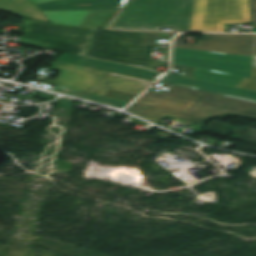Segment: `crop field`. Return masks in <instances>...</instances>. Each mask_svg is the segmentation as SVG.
<instances>
[{
	"label": "crop field",
	"instance_id": "28ad6ade",
	"mask_svg": "<svg viewBox=\"0 0 256 256\" xmlns=\"http://www.w3.org/2000/svg\"><path fill=\"white\" fill-rule=\"evenodd\" d=\"M80 66L90 67V68H96L106 71H111L115 73L125 74L129 76H134L138 78L148 79L155 81L158 77H160L162 74L160 73H154L150 72L145 69L135 68L131 66L101 61L97 59L87 58L84 57L83 60L79 64Z\"/></svg>",
	"mask_w": 256,
	"mask_h": 256
},
{
	"label": "crop field",
	"instance_id": "f4fd0767",
	"mask_svg": "<svg viewBox=\"0 0 256 256\" xmlns=\"http://www.w3.org/2000/svg\"><path fill=\"white\" fill-rule=\"evenodd\" d=\"M93 29L53 26L26 19L23 44L84 56Z\"/></svg>",
	"mask_w": 256,
	"mask_h": 256
},
{
	"label": "crop field",
	"instance_id": "d9b57169",
	"mask_svg": "<svg viewBox=\"0 0 256 256\" xmlns=\"http://www.w3.org/2000/svg\"><path fill=\"white\" fill-rule=\"evenodd\" d=\"M237 86L247 88V89L256 90V68H253V73H252L251 79L244 78Z\"/></svg>",
	"mask_w": 256,
	"mask_h": 256
},
{
	"label": "crop field",
	"instance_id": "ac0d7876",
	"mask_svg": "<svg viewBox=\"0 0 256 256\" xmlns=\"http://www.w3.org/2000/svg\"><path fill=\"white\" fill-rule=\"evenodd\" d=\"M135 103L205 119L228 113L256 119L255 102L178 86L162 94L148 91Z\"/></svg>",
	"mask_w": 256,
	"mask_h": 256
},
{
	"label": "crop field",
	"instance_id": "dd49c442",
	"mask_svg": "<svg viewBox=\"0 0 256 256\" xmlns=\"http://www.w3.org/2000/svg\"><path fill=\"white\" fill-rule=\"evenodd\" d=\"M225 23H251L249 0H196L190 31L225 32Z\"/></svg>",
	"mask_w": 256,
	"mask_h": 256
},
{
	"label": "crop field",
	"instance_id": "5a996713",
	"mask_svg": "<svg viewBox=\"0 0 256 256\" xmlns=\"http://www.w3.org/2000/svg\"><path fill=\"white\" fill-rule=\"evenodd\" d=\"M243 35L204 34L198 45H186L184 34L175 38L174 46L235 54Z\"/></svg>",
	"mask_w": 256,
	"mask_h": 256
},
{
	"label": "crop field",
	"instance_id": "5142ce71",
	"mask_svg": "<svg viewBox=\"0 0 256 256\" xmlns=\"http://www.w3.org/2000/svg\"><path fill=\"white\" fill-rule=\"evenodd\" d=\"M236 54L256 55V35H244Z\"/></svg>",
	"mask_w": 256,
	"mask_h": 256
},
{
	"label": "crop field",
	"instance_id": "22f410ed",
	"mask_svg": "<svg viewBox=\"0 0 256 256\" xmlns=\"http://www.w3.org/2000/svg\"><path fill=\"white\" fill-rule=\"evenodd\" d=\"M128 111L138 116H141L143 118H146L150 121H153L155 123L159 122L165 117H168V118L175 117L177 119L174 122L184 123L186 120H188L191 117L183 114L141 106L137 104H134L132 107H130Z\"/></svg>",
	"mask_w": 256,
	"mask_h": 256
},
{
	"label": "crop field",
	"instance_id": "d8731c3e",
	"mask_svg": "<svg viewBox=\"0 0 256 256\" xmlns=\"http://www.w3.org/2000/svg\"><path fill=\"white\" fill-rule=\"evenodd\" d=\"M153 82L108 72L88 93L103 96L110 89L139 95Z\"/></svg>",
	"mask_w": 256,
	"mask_h": 256
},
{
	"label": "crop field",
	"instance_id": "412701ff",
	"mask_svg": "<svg viewBox=\"0 0 256 256\" xmlns=\"http://www.w3.org/2000/svg\"><path fill=\"white\" fill-rule=\"evenodd\" d=\"M145 33L95 29L87 57L150 69V49L143 47Z\"/></svg>",
	"mask_w": 256,
	"mask_h": 256
},
{
	"label": "crop field",
	"instance_id": "34b2d1b8",
	"mask_svg": "<svg viewBox=\"0 0 256 256\" xmlns=\"http://www.w3.org/2000/svg\"><path fill=\"white\" fill-rule=\"evenodd\" d=\"M195 0L130 1L111 28L159 31L162 27L189 31Z\"/></svg>",
	"mask_w": 256,
	"mask_h": 256
},
{
	"label": "crop field",
	"instance_id": "214f88e0",
	"mask_svg": "<svg viewBox=\"0 0 256 256\" xmlns=\"http://www.w3.org/2000/svg\"><path fill=\"white\" fill-rule=\"evenodd\" d=\"M34 2V4L37 3H42V2H47V1H53V0H32Z\"/></svg>",
	"mask_w": 256,
	"mask_h": 256
},
{
	"label": "crop field",
	"instance_id": "92a150f3",
	"mask_svg": "<svg viewBox=\"0 0 256 256\" xmlns=\"http://www.w3.org/2000/svg\"><path fill=\"white\" fill-rule=\"evenodd\" d=\"M253 67H256V56H253Z\"/></svg>",
	"mask_w": 256,
	"mask_h": 256
},
{
	"label": "crop field",
	"instance_id": "bc2a9ffb",
	"mask_svg": "<svg viewBox=\"0 0 256 256\" xmlns=\"http://www.w3.org/2000/svg\"><path fill=\"white\" fill-rule=\"evenodd\" d=\"M252 4H253L254 17H255V24H256V0H252Z\"/></svg>",
	"mask_w": 256,
	"mask_h": 256
},
{
	"label": "crop field",
	"instance_id": "733c2abd",
	"mask_svg": "<svg viewBox=\"0 0 256 256\" xmlns=\"http://www.w3.org/2000/svg\"><path fill=\"white\" fill-rule=\"evenodd\" d=\"M81 58H82L81 56L62 53L56 60L77 64Z\"/></svg>",
	"mask_w": 256,
	"mask_h": 256
},
{
	"label": "crop field",
	"instance_id": "8a807250",
	"mask_svg": "<svg viewBox=\"0 0 256 256\" xmlns=\"http://www.w3.org/2000/svg\"><path fill=\"white\" fill-rule=\"evenodd\" d=\"M172 63L196 67L192 79L168 74L161 82L256 102V91L235 87L251 78L252 57L174 47Z\"/></svg>",
	"mask_w": 256,
	"mask_h": 256
},
{
	"label": "crop field",
	"instance_id": "cbeb9de0",
	"mask_svg": "<svg viewBox=\"0 0 256 256\" xmlns=\"http://www.w3.org/2000/svg\"><path fill=\"white\" fill-rule=\"evenodd\" d=\"M52 22L59 24L75 25L80 24L90 13L89 11H66V12H43Z\"/></svg>",
	"mask_w": 256,
	"mask_h": 256
},
{
	"label": "crop field",
	"instance_id": "3316defc",
	"mask_svg": "<svg viewBox=\"0 0 256 256\" xmlns=\"http://www.w3.org/2000/svg\"><path fill=\"white\" fill-rule=\"evenodd\" d=\"M128 0H58L37 4L41 11L121 9Z\"/></svg>",
	"mask_w": 256,
	"mask_h": 256
},
{
	"label": "crop field",
	"instance_id": "d1516ede",
	"mask_svg": "<svg viewBox=\"0 0 256 256\" xmlns=\"http://www.w3.org/2000/svg\"><path fill=\"white\" fill-rule=\"evenodd\" d=\"M0 10L48 22L29 0H0Z\"/></svg>",
	"mask_w": 256,
	"mask_h": 256
},
{
	"label": "crop field",
	"instance_id": "4a817a6b",
	"mask_svg": "<svg viewBox=\"0 0 256 256\" xmlns=\"http://www.w3.org/2000/svg\"><path fill=\"white\" fill-rule=\"evenodd\" d=\"M156 66L166 67V63L153 60L151 69L155 70Z\"/></svg>",
	"mask_w": 256,
	"mask_h": 256
},
{
	"label": "crop field",
	"instance_id": "e52e79f7",
	"mask_svg": "<svg viewBox=\"0 0 256 256\" xmlns=\"http://www.w3.org/2000/svg\"><path fill=\"white\" fill-rule=\"evenodd\" d=\"M60 70V77L54 85L87 92L107 72L58 62L52 67Z\"/></svg>",
	"mask_w": 256,
	"mask_h": 256
}]
</instances>
